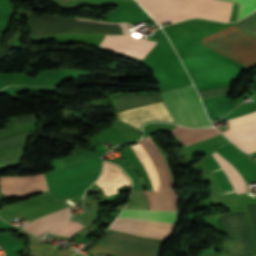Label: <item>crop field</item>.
Wrapping results in <instances>:
<instances>
[{"instance_id": "1", "label": "crop field", "mask_w": 256, "mask_h": 256, "mask_svg": "<svg viewBox=\"0 0 256 256\" xmlns=\"http://www.w3.org/2000/svg\"><path fill=\"white\" fill-rule=\"evenodd\" d=\"M211 147L234 167V169L244 178L245 182L256 180L255 167L245 156L238 152L227 141L211 145ZM216 152L212 155L217 160L218 164L229 179L237 194L246 192V184L243 178L233 169V167L228 162H226ZM212 155L203 161L211 169L225 196L236 194L233 187L229 183L228 179L226 178Z\"/></svg>"}, {"instance_id": "2", "label": "crop field", "mask_w": 256, "mask_h": 256, "mask_svg": "<svg viewBox=\"0 0 256 256\" xmlns=\"http://www.w3.org/2000/svg\"><path fill=\"white\" fill-rule=\"evenodd\" d=\"M197 90L230 84L239 64L214 52L181 58Z\"/></svg>"}, {"instance_id": "3", "label": "crop field", "mask_w": 256, "mask_h": 256, "mask_svg": "<svg viewBox=\"0 0 256 256\" xmlns=\"http://www.w3.org/2000/svg\"><path fill=\"white\" fill-rule=\"evenodd\" d=\"M201 44L248 68L256 65V37L234 26L202 38Z\"/></svg>"}, {"instance_id": "4", "label": "crop field", "mask_w": 256, "mask_h": 256, "mask_svg": "<svg viewBox=\"0 0 256 256\" xmlns=\"http://www.w3.org/2000/svg\"><path fill=\"white\" fill-rule=\"evenodd\" d=\"M159 94L176 123L187 127L211 125L193 85L160 92Z\"/></svg>"}, {"instance_id": "5", "label": "crop field", "mask_w": 256, "mask_h": 256, "mask_svg": "<svg viewBox=\"0 0 256 256\" xmlns=\"http://www.w3.org/2000/svg\"><path fill=\"white\" fill-rule=\"evenodd\" d=\"M161 240L139 238L108 230L91 252L113 256H157Z\"/></svg>"}, {"instance_id": "6", "label": "crop field", "mask_w": 256, "mask_h": 256, "mask_svg": "<svg viewBox=\"0 0 256 256\" xmlns=\"http://www.w3.org/2000/svg\"><path fill=\"white\" fill-rule=\"evenodd\" d=\"M221 217L224 231L232 235L223 242L226 256H255L252 226L248 214L229 213Z\"/></svg>"}, {"instance_id": "7", "label": "crop field", "mask_w": 256, "mask_h": 256, "mask_svg": "<svg viewBox=\"0 0 256 256\" xmlns=\"http://www.w3.org/2000/svg\"><path fill=\"white\" fill-rule=\"evenodd\" d=\"M230 130L223 134L248 153L256 151V112L227 120Z\"/></svg>"}, {"instance_id": "8", "label": "crop field", "mask_w": 256, "mask_h": 256, "mask_svg": "<svg viewBox=\"0 0 256 256\" xmlns=\"http://www.w3.org/2000/svg\"><path fill=\"white\" fill-rule=\"evenodd\" d=\"M176 224L116 219L109 229L145 237L166 239Z\"/></svg>"}, {"instance_id": "9", "label": "crop field", "mask_w": 256, "mask_h": 256, "mask_svg": "<svg viewBox=\"0 0 256 256\" xmlns=\"http://www.w3.org/2000/svg\"><path fill=\"white\" fill-rule=\"evenodd\" d=\"M116 115L117 118L137 128L149 120L173 121L162 101L120 111Z\"/></svg>"}, {"instance_id": "10", "label": "crop field", "mask_w": 256, "mask_h": 256, "mask_svg": "<svg viewBox=\"0 0 256 256\" xmlns=\"http://www.w3.org/2000/svg\"><path fill=\"white\" fill-rule=\"evenodd\" d=\"M69 217V207L37 218L23 226V228L37 236L45 232H53L64 225Z\"/></svg>"}, {"instance_id": "11", "label": "crop field", "mask_w": 256, "mask_h": 256, "mask_svg": "<svg viewBox=\"0 0 256 256\" xmlns=\"http://www.w3.org/2000/svg\"><path fill=\"white\" fill-rule=\"evenodd\" d=\"M99 173L49 188V190L57 200L83 193L84 190L87 189L94 180H96Z\"/></svg>"}, {"instance_id": "12", "label": "crop field", "mask_w": 256, "mask_h": 256, "mask_svg": "<svg viewBox=\"0 0 256 256\" xmlns=\"http://www.w3.org/2000/svg\"><path fill=\"white\" fill-rule=\"evenodd\" d=\"M118 217L145 220V221L176 223L177 211L123 210Z\"/></svg>"}, {"instance_id": "13", "label": "crop field", "mask_w": 256, "mask_h": 256, "mask_svg": "<svg viewBox=\"0 0 256 256\" xmlns=\"http://www.w3.org/2000/svg\"><path fill=\"white\" fill-rule=\"evenodd\" d=\"M116 109H122L130 105L141 104L143 102H150L161 99L159 95H127L111 98Z\"/></svg>"}, {"instance_id": "14", "label": "crop field", "mask_w": 256, "mask_h": 256, "mask_svg": "<svg viewBox=\"0 0 256 256\" xmlns=\"http://www.w3.org/2000/svg\"><path fill=\"white\" fill-rule=\"evenodd\" d=\"M29 248L38 256H72L75 253V251L69 249L60 251L51 250L45 246L33 242L29 243Z\"/></svg>"}, {"instance_id": "15", "label": "crop field", "mask_w": 256, "mask_h": 256, "mask_svg": "<svg viewBox=\"0 0 256 256\" xmlns=\"http://www.w3.org/2000/svg\"><path fill=\"white\" fill-rule=\"evenodd\" d=\"M83 227L85 226L81 225L76 221L75 222L68 221L64 227L57 230L53 234L69 238L72 234H74L76 231H78Z\"/></svg>"}, {"instance_id": "16", "label": "crop field", "mask_w": 256, "mask_h": 256, "mask_svg": "<svg viewBox=\"0 0 256 256\" xmlns=\"http://www.w3.org/2000/svg\"><path fill=\"white\" fill-rule=\"evenodd\" d=\"M235 26L256 36V13L240 21Z\"/></svg>"}, {"instance_id": "17", "label": "crop field", "mask_w": 256, "mask_h": 256, "mask_svg": "<svg viewBox=\"0 0 256 256\" xmlns=\"http://www.w3.org/2000/svg\"><path fill=\"white\" fill-rule=\"evenodd\" d=\"M233 1H237L241 6L239 16H238L240 19L250 14L254 10H256V0H233Z\"/></svg>"}, {"instance_id": "18", "label": "crop field", "mask_w": 256, "mask_h": 256, "mask_svg": "<svg viewBox=\"0 0 256 256\" xmlns=\"http://www.w3.org/2000/svg\"><path fill=\"white\" fill-rule=\"evenodd\" d=\"M251 88H253L254 90H256V80H255V82L253 83V85H252Z\"/></svg>"}]
</instances>
